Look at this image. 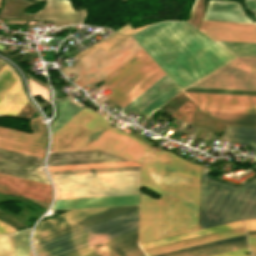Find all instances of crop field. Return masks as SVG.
Instances as JSON below:
<instances>
[{
  "label": "crop field",
  "mask_w": 256,
  "mask_h": 256,
  "mask_svg": "<svg viewBox=\"0 0 256 256\" xmlns=\"http://www.w3.org/2000/svg\"><path fill=\"white\" fill-rule=\"evenodd\" d=\"M134 37L180 88L234 59L185 21L159 22Z\"/></svg>",
  "instance_id": "crop-field-1"
},
{
  "label": "crop field",
  "mask_w": 256,
  "mask_h": 256,
  "mask_svg": "<svg viewBox=\"0 0 256 256\" xmlns=\"http://www.w3.org/2000/svg\"><path fill=\"white\" fill-rule=\"evenodd\" d=\"M90 131L93 135L99 132L93 136ZM90 149L144 164L141 186L158 194V183L152 181L151 176H159L160 150L113 128L101 115L84 108L52 135L50 152ZM152 179L159 182V177Z\"/></svg>",
  "instance_id": "crop-field-2"
},
{
  "label": "crop field",
  "mask_w": 256,
  "mask_h": 256,
  "mask_svg": "<svg viewBox=\"0 0 256 256\" xmlns=\"http://www.w3.org/2000/svg\"><path fill=\"white\" fill-rule=\"evenodd\" d=\"M200 166L161 150L158 239L198 229Z\"/></svg>",
  "instance_id": "crop-field-3"
},
{
  "label": "crop field",
  "mask_w": 256,
  "mask_h": 256,
  "mask_svg": "<svg viewBox=\"0 0 256 256\" xmlns=\"http://www.w3.org/2000/svg\"><path fill=\"white\" fill-rule=\"evenodd\" d=\"M201 167L199 229L256 218V177L238 188L207 178Z\"/></svg>",
  "instance_id": "crop-field-4"
},
{
  "label": "crop field",
  "mask_w": 256,
  "mask_h": 256,
  "mask_svg": "<svg viewBox=\"0 0 256 256\" xmlns=\"http://www.w3.org/2000/svg\"><path fill=\"white\" fill-rule=\"evenodd\" d=\"M55 199L139 194V170L51 176Z\"/></svg>",
  "instance_id": "crop-field-5"
},
{
  "label": "crop field",
  "mask_w": 256,
  "mask_h": 256,
  "mask_svg": "<svg viewBox=\"0 0 256 256\" xmlns=\"http://www.w3.org/2000/svg\"><path fill=\"white\" fill-rule=\"evenodd\" d=\"M127 38L113 33L75 57L80 59L98 47L109 52ZM141 49L130 37L109 53L98 48L61 71L67 76L75 70L79 76L73 82L82 88L87 83L103 79Z\"/></svg>",
  "instance_id": "crop-field-6"
},
{
  "label": "crop field",
  "mask_w": 256,
  "mask_h": 256,
  "mask_svg": "<svg viewBox=\"0 0 256 256\" xmlns=\"http://www.w3.org/2000/svg\"><path fill=\"white\" fill-rule=\"evenodd\" d=\"M138 208L36 244L39 256H60L137 228Z\"/></svg>",
  "instance_id": "crop-field-7"
},
{
  "label": "crop field",
  "mask_w": 256,
  "mask_h": 256,
  "mask_svg": "<svg viewBox=\"0 0 256 256\" xmlns=\"http://www.w3.org/2000/svg\"><path fill=\"white\" fill-rule=\"evenodd\" d=\"M150 58L142 49L104 78L107 82L102 86L113 91L108 99L123 107L164 76Z\"/></svg>",
  "instance_id": "crop-field-8"
},
{
  "label": "crop field",
  "mask_w": 256,
  "mask_h": 256,
  "mask_svg": "<svg viewBox=\"0 0 256 256\" xmlns=\"http://www.w3.org/2000/svg\"><path fill=\"white\" fill-rule=\"evenodd\" d=\"M190 86L256 90V59L236 58Z\"/></svg>",
  "instance_id": "crop-field-9"
},
{
  "label": "crop field",
  "mask_w": 256,
  "mask_h": 256,
  "mask_svg": "<svg viewBox=\"0 0 256 256\" xmlns=\"http://www.w3.org/2000/svg\"><path fill=\"white\" fill-rule=\"evenodd\" d=\"M33 134L0 127V148L43 158L47 139L46 125L41 118L30 120Z\"/></svg>",
  "instance_id": "crop-field-10"
},
{
  "label": "crop field",
  "mask_w": 256,
  "mask_h": 256,
  "mask_svg": "<svg viewBox=\"0 0 256 256\" xmlns=\"http://www.w3.org/2000/svg\"><path fill=\"white\" fill-rule=\"evenodd\" d=\"M186 95L202 111L256 114V96L195 93H186Z\"/></svg>",
  "instance_id": "crop-field-11"
},
{
  "label": "crop field",
  "mask_w": 256,
  "mask_h": 256,
  "mask_svg": "<svg viewBox=\"0 0 256 256\" xmlns=\"http://www.w3.org/2000/svg\"><path fill=\"white\" fill-rule=\"evenodd\" d=\"M137 250L136 229L63 256H123Z\"/></svg>",
  "instance_id": "crop-field-12"
},
{
  "label": "crop field",
  "mask_w": 256,
  "mask_h": 256,
  "mask_svg": "<svg viewBox=\"0 0 256 256\" xmlns=\"http://www.w3.org/2000/svg\"><path fill=\"white\" fill-rule=\"evenodd\" d=\"M199 30L214 40L256 42V25L203 21Z\"/></svg>",
  "instance_id": "crop-field-13"
},
{
  "label": "crop field",
  "mask_w": 256,
  "mask_h": 256,
  "mask_svg": "<svg viewBox=\"0 0 256 256\" xmlns=\"http://www.w3.org/2000/svg\"><path fill=\"white\" fill-rule=\"evenodd\" d=\"M9 68L7 64L4 63V65L0 68V74L3 72L5 68ZM7 69L4 70V72L0 75L1 76L5 73ZM13 77L11 76V74ZM6 75L0 80V114H18L20 110L25 106V104L28 102L27 99L25 98L23 91L20 86V82L16 74L12 71L10 68ZM0 116H15L16 115H0Z\"/></svg>",
  "instance_id": "crop-field-14"
},
{
  "label": "crop field",
  "mask_w": 256,
  "mask_h": 256,
  "mask_svg": "<svg viewBox=\"0 0 256 256\" xmlns=\"http://www.w3.org/2000/svg\"><path fill=\"white\" fill-rule=\"evenodd\" d=\"M0 191L37 199L44 202L51 200V185H46L0 173Z\"/></svg>",
  "instance_id": "crop-field-15"
},
{
  "label": "crop field",
  "mask_w": 256,
  "mask_h": 256,
  "mask_svg": "<svg viewBox=\"0 0 256 256\" xmlns=\"http://www.w3.org/2000/svg\"><path fill=\"white\" fill-rule=\"evenodd\" d=\"M139 195L55 200L52 210L137 205Z\"/></svg>",
  "instance_id": "crop-field-16"
},
{
  "label": "crop field",
  "mask_w": 256,
  "mask_h": 256,
  "mask_svg": "<svg viewBox=\"0 0 256 256\" xmlns=\"http://www.w3.org/2000/svg\"><path fill=\"white\" fill-rule=\"evenodd\" d=\"M125 159L100 151L49 153L48 166L123 162Z\"/></svg>",
  "instance_id": "crop-field-17"
},
{
  "label": "crop field",
  "mask_w": 256,
  "mask_h": 256,
  "mask_svg": "<svg viewBox=\"0 0 256 256\" xmlns=\"http://www.w3.org/2000/svg\"><path fill=\"white\" fill-rule=\"evenodd\" d=\"M158 200L141 192L139 243L157 239Z\"/></svg>",
  "instance_id": "crop-field-18"
},
{
  "label": "crop field",
  "mask_w": 256,
  "mask_h": 256,
  "mask_svg": "<svg viewBox=\"0 0 256 256\" xmlns=\"http://www.w3.org/2000/svg\"><path fill=\"white\" fill-rule=\"evenodd\" d=\"M84 11L74 12L67 0H47V5L36 13L34 19L67 20L72 19V24H83Z\"/></svg>",
  "instance_id": "crop-field-19"
},
{
  "label": "crop field",
  "mask_w": 256,
  "mask_h": 256,
  "mask_svg": "<svg viewBox=\"0 0 256 256\" xmlns=\"http://www.w3.org/2000/svg\"><path fill=\"white\" fill-rule=\"evenodd\" d=\"M113 208L104 209H83V210H71L66 213L60 214L58 216L52 217L50 219L40 222L37 228L34 230L33 236H38L40 234L52 231L54 229L66 226L68 224L77 222L79 220L88 218L90 216L102 213L104 211Z\"/></svg>",
  "instance_id": "crop-field-20"
},
{
  "label": "crop field",
  "mask_w": 256,
  "mask_h": 256,
  "mask_svg": "<svg viewBox=\"0 0 256 256\" xmlns=\"http://www.w3.org/2000/svg\"><path fill=\"white\" fill-rule=\"evenodd\" d=\"M203 20L251 23L239 3L209 1Z\"/></svg>",
  "instance_id": "crop-field-21"
},
{
  "label": "crop field",
  "mask_w": 256,
  "mask_h": 256,
  "mask_svg": "<svg viewBox=\"0 0 256 256\" xmlns=\"http://www.w3.org/2000/svg\"><path fill=\"white\" fill-rule=\"evenodd\" d=\"M137 207H138V206L118 207V208H115V209H113V210L104 212V213H102V214H99V215L90 217V218H88V219L79 221V222H77V223L68 225V226H66V227H63V228L54 230V231H52V232H49V233L40 235V236L34 238L35 244H36V243H39V242H42V241H44V240H47V239L56 237V236H58V235H61V234L70 232V231H72V230H75V229L84 227V226H86V225H89V224H92V223L101 221V220H103V219H106V218L115 216V215H117V214H120V213L129 211V210L134 209V208H137Z\"/></svg>",
  "instance_id": "crop-field-22"
},
{
  "label": "crop field",
  "mask_w": 256,
  "mask_h": 256,
  "mask_svg": "<svg viewBox=\"0 0 256 256\" xmlns=\"http://www.w3.org/2000/svg\"><path fill=\"white\" fill-rule=\"evenodd\" d=\"M39 168L40 167L0 158L1 173L47 183L45 175L39 170Z\"/></svg>",
  "instance_id": "crop-field-23"
},
{
  "label": "crop field",
  "mask_w": 256,
  "mask_h": 256,
  "mask_svg": "<svg viewBox=\"0 0 256 256\" xmlns=\"http://www.w3.org/2000/svg\"><path fill=\"white\" fill-rule=\"evenodd\" d=\"M173 84L174 83L171 81V79L165 75L119 112L122 113L128 109L136 114L139 110L145 107L148 103H150L153 99H155Z\"/></svg>",
  "instance_id": "crop-field-24"
},
{
  "label": "crop field",
  "mask_w": 256,
  "mask_h": 256,
  "mask_svg": "<svg viewBox=\"0 0 256 256\" xmlns=\"http://www.w3.org/2000/svg\"><path fill=\"white\" fill-rule=\"evenodd\" d=\"M220 141L248 144L256 155V129L226 127Z\"/></svg>",
  "instance_id": "crop-field-25"
},
{
  "label": "crop field",
  "mask_w": 256,
  "mask_h": 256,
  "mask_svg": "<svg viewBox=\"0 0 256 256\" xmlns=\"http://www.w3.org/2000/svg\"><path fill=\"white\" fill-rule=\"evenodd\" d=\"M243 226L241 221L140 244L142 249Z\"/></svg>",
  "instance_id": "crop-field-26"
},
{
  "label": "crop field",
  "mask_w": 256,
  "mask_h": 256,
  "mask_svg": "<svg viewBox=\"0 0 256 256\" xmlns=\"http://www.w3.org/2000/svg\"><path fill=\"white\" fill-rule=\"evenodd\" d=\"M69 98L56 102L58 106L59 116L53 121L51 126L52 134L62 127L67 121H69L74 115H76L84 107L78 103H71Z\"/></svg>",
  "instance_id": "crop-field-27"
},
{
  "label": "crop field",
  "mask_w": 256,
  "mask_h": 256,
  "mask_svg": "<svg viewBox=\"0 0 256 256\" xmlns=\"http://www.w3.org/2000/svg\"><path fill=\"white\" fill-rule=\"evenodd\" d=\"M225 125L256 127V115L205 112Z\"/></svg>",
  "instance_id": "crop-field-28"
},
{
  "label": "crop field",
  "mask_w": 256,
  "mask_h": 256,
  "mask_svg": "<svg viewBox=\"0 0 256 256\" xmlns=\"http://www.w3.org/2000/svg\"><path fill=\"white\" fill-rule=\"evenodd\" d=\"M248 247L246 239L175 256H211Z\"/></svg>",
  "instance_id": "crop-field-29"
},
{
  "label": "crop field",
  "mask_w": 256,
  "mask_h": 256,
  "mask_svg": "<svg viewBox=\"0 0 256 256\" xmlns=\"http://www.w3.org/2000/svg\"><path fill=\"white\" fill-rule=\"evenodd\" d=\"M231 53L237 56L256 57V43L217 41Z\"/></svg>",
  "instance_id": "crop-field-30"
},
{
  "label": "crop field",
  "mask_w": 256,
  "mask_h": 256,
  "mask_svg": "<svg viewBox=\"0 0 256 256\" xmlns=\"http://www.w3.org/2000/svg\"><path fill=\"white\" fill-rule=\"evenodd\" d=\"M179 91L180 90L174 84L168 90H166L163 94H161L158 98H156L149 105H147L144 109H142L139 113H141V114H143L145 116L149 115L151 112H153L159 106H161L162 104L167 102L170 98H172Z\"/></svg>",
  "instance_id": "crop-field-31"
},
{
  "label": "crop field",
  "mask_w": 256,
  "mask_h": 256,
  "mask_svg": "<svg viewBox=\"0 0 256 256\" xmlns=\"http://www.w3.org/2000/svg\"><path fill=\"white\" fill-rule=\"evenodd\" d=\"M29 232L30 229L14 233L15 256H29Z\"/></svg>",
  "instance_id": "crop-field-32"
},
{
  "label": "crop field",
  "mask_w": 256,
  "mask_h": 256,
  "mask_svg": "<svg viewBox=\"0 0 256 256\" xmlns=\"http://www.w3.org/2000/svg\"><path fill=\"white\" fill-rule=\"evenodd\" d=\"M243 234H245L244 230L226 234V235L213 237V238H209V239H204V240H200V241H196V242H192V243H188V244H183V245H179V246H175V247H171V248H166V249H162V250H158V251H154V252H150V253H146V255L150 256V255H154V254H159V253L168 252V251H172V250H176V249H181V248H185V247H190V246H194V245L217 241V240L230 238V237H234V236H239V235H243Z\"/></svg>",
  "instance_id": "crop-field-33"
},
{
  "label": "crop field",
  "mask_w": 256,
  "mask_h": 256,
  "mask_svg": "<svg viewBox=\"0 0 256 256\" xmlns=\"http://www.w3.org/2000/svg\"><path fill=\"white\" fill-rule=\"evenodd\" d=\"M0 157L43 167V159L41 158L20 154L8 150L0 149Z\"/></svg>",
  "instance_id": "crop-field-34"
},
{
  "label": "crop field",
  "mask_w": 256,
  "mask_h": 256,
  "mask_svg": "<svg viewBox=\"0 0 256 256\" xmlns=\"http://www.w3.org/2000/svg\"><path fill=\"white\" fill-rule=\"evenodd\" d=\"M139 165L133 162L48 167L49 171Z\"/></svg>",
  "instance_id": "crop-field-35"
},
{
  "label": "crop field",
  "mask_w": 256,
  "mask_h": 256,
  "mask_svg": "<svg viewBox=\"0 0 256 256\" xmlns=\"http://www.w3.org/2000/svg\"><path fill=\"white\" fill-rule=\"evenodd\" d=\"M184 92L236 94V95H256V91L225 90V89H210V88H195V87H187V88L184 89Z\"/></svg>",
  "instance_id": "crop-field-36"
},
{
  "label": "crop field",
  "mask_w": 256,
  "mask_h": 256,
  "mask_svg": "<svg viewBox=\"0 0 256 256\" xmlns=\"http://www.w3.org/2000/svg\"><path fill=\"white\" fill-rule=\"evenodd\" d=\"M205 0H196L194 7L192 9L191 17L187 22L199 28L203 15L205 13L204 10Z\"/></svg>",
  "instance_id": "crop-field-37"
},
{
  "label": "crop field",
  "mask_w": 256,
  "mask_h": 256,
  "mask_svg": "<svg viewBox=\"0 0 256 256\" xmlns=\"http://www.w3.org/2000/svg\"><path fill=\"white\" fill-rule=\"evenodd\" d=\"M0 256H14L13 233L0 235Z\"/></svg>",
  "instance_id": "crop-field-38"
},
{
  "label": "crop field",
  "mask_w": 256,
  "mask_h": 256,
  "mask_svg": "<svg viewBox=\"0 0 256 256\" xmlns=\"http://www.w3.org/2000/svg\"><path fill=\"white\" fill-rule=\"evenodd\" d=\"M244 238H246L245 235L230 238V239H225V240H221V241H217V242H212V243H208V244H203V245H199V246H194V247H190V248H185V249H181V250H176V251H172V252H168V253H163V254H159V255H154V256H170V255L188 252V251L201 249V248H205V247H209V246H214V245H218V244H222V243L236 241V240H240V239H244Z\"/></svg>",
  "instance_id": "crop-field-39"
},
{
  "label": "crop field",
  "mask_w": 256,
  "mask_h": 256,
  "mask_svg": "<svg viewBox=\"0 0 256 256\" xmlns=\"http://www.w3.org/2000/svg\"><path fill=\"white\" fill-rule=\"evenodd\" d=\"M139 167H140V166L118 167V168H102V169H87V170H72V171H56V172H49V174H50V175H57V174H72V173H87V172L132 170V169H139Z\"/></svg>",
  "instance_id": "crop-field-40"
},
{
  "label": "crop field",
  "mask_w": 256,
  "mask_h": 256,
  "mask_svg": "<svg viewBox=\"0 0 256 256\" xmlns=\"http://www.w3.org/2000/svg\"><path fill=\"white\" fill-rule=\"evenodd\" d=\"M242 229H244V228L241 227V228H237V229H233V230H228V231L219 232V233L206 235V236H202V237H197V238H193V239H189V240L175 242V243H171V244H167V245L153 247V248L145 249L144 252L155 250V249H160V248H164V247H168V246H173V245H177V244H181V243H186V242H190V241H195V240H199V239H203V238H208V237H212V236H216V235H221V234H225V233H229V232H234V231H238V230H242Z\"/></svg>",
  "instance_id": "crop-field-41"
},
{
  "label": "crop field",
  "mask_w": 256,
  "mask_h": 256,
  "mask_svg": "<svg viewBox=\"0 0 256 256\" xmlns=\"http://www.w3.org/2000/svg\"><path fill=\"white\" fill-rule=\"evenodd\" d=\"M29 85L32 91V95H40L43 99H45L48 103H50L49 99V90L45 89L44 87L38 85L37 83L33 82L32 80L28 79Z\"/></svg>",
  "instance_id": "crop-field-42"
},
{
  "label": "crop field",
  "mask_w": 256,
  "mask_h": 256,
  "mask_svg": "<svg viewBox=\"0 0 256 256\" xmlns=\"http://www.w3.org/2000/svg\"><path fill=\"white\" fill-rule=\"evenodd\" d=\"M148 25H150V24H148ZM148 25H144L140 28H135V29H131L128 25H125L122 28H120L119 30H117L116 32L121 33V34H126V35H133V34L139 32L140 30L144 29Z\"/></svg>",
  "instance_id": "crop-field-43"
},
{
  "label": "crop field",
  "mask_w": 256,
  "mask_h": 256,
  "mask_svg": "<svg viewBox=\"0 0 256 256\" xmlns=\"http://www.w3.org/2000/svg\"><path fill=\"white\" fill-rule=\"evenodd\" d=\"M246 252H249L248 248L238 250V251L229 252V253H224V254H220V255H216V256H244V253H246ZM247 256H250V255H247Z\"/></svg>",
  "instance_id": "crop-field-44"
},
{
  "label": "crop field",
  "mask_w": 256,
  "mask_h": 256,
  "mask_svg": "<svg viewBox=\"0 0 256 256\" xmlns=\"http://www.w3.org/2000/svg\"><path fill=\"white\" fill-rule=\"evenodd\" d=\"M244 5L256 16V0H244Z\"/></svg>",
  "instance_id": "crop-field-45"
},
{
  "label": "crop field",
  "mask_w": 256,
  "mask_h": 256,
  "mask_svg": "<svg viewBox=\"0 0 256 256\" xmlns=\"http://www.w3.org/2000/svg\"><path fill=\"white\" fill-rule=\"evenodd\" d=\"M246 230L256 229V219L244 220Z\"/></svg>",
  "instance_id": "crop-field-46"
},
{
  "label": "crop field",
  "mask_w": 256,
  "mask_h": 256,
  "mask_svg": "<svg viewBox=\"0 0 256 256\" xmlns=\"http://www.w3.org/2000/svg\"><path fill=\"white\" fill-rule=\"evenodd\" d=\"M10 231H16V229L0 222V232H10Z\"/></svg>",
  "instance_id": "crop-field-47"
},
{
  "label": "crop field",
  "mask_w": 256,
  "mask_h": 256,
  "mask_svg": "<svg viewBox=\"0 0 256 256\" xmlns=\"http://www.w3.org/2000/svg\"><path fill=\"white\" fill-rule=\"evenodd\" d=\"M249 243H256V234L255 235H247Z\"/></svg>",
  "instance_id": "crop-field-48"
},
{
  "label": "crop field",
  "mask_w": 256,
  "mask_h": 256,
  "mask_svg": "<svg viewBox=\"0 0 256 256\" xmlns=\"http://www.w3.org/2000/svg\"><path fill=\"white\" fill-rule=\"evenodd\" d=\"M140 255H143V252H142V250H140V251H137V252H134V253H132V254H129V255H126V256H140Z\"/></svg>",
  "instance_id": "crop-field-49"
},
{
  "label": "crop field",
  "mask_w": 256,
  "mask_h": 256,
  "mask_svg": "<svg viewBox=\"0 0 256 256\" xmlns=\"http://www.w3.org/2000/svg\"><path fill=\"white\" fill-rule=\"evenodd\" d=\"M250 245V249L253 251V252H256V244H249Z\"/></svg>",
  "instance_id": "crop-field-50"
},
{
  "label": "crop field",
  "mask_w": 256,
  "mask_h": 256,
  "mask_svg": "<svg viewBox=\"0 0 256 256\" xmlns=\"http://www.w3.org/2000/svg\"><path fill=\"white\" fill-rule=\"evenodd\" d=\"M246 233L247 234H254V233H256V230H254V231H246Z\"/></svg>",
  "instance_id": "crop-field-51"
},
{
  "label": "crop field",
  "mask_w": 256,
  "mask_h": 256,
  "mask_svg": "<svg viewBox=\"0 0 256 256\" xmlns=\"http://www.w3.org/2000/svg\"><path fill=\"white\" fill-rule=\"evenodd\" d=\"M251 169H255L256 170V164L254 166H252Z\"/></svg>",
  "instance_id": "crop-field-52"
},
{
  "label": "crop field",
  "mask_w": 256,
  "mask_h": 256,
  "mask_svg": "<svg viewBox=\"0 0 256 256\" xmlns=\"http://www.w3.org/2000/svg\"><path fill=\"white\" fill-rule=\"evenodd\" d=\"M0 49L2 50V49H3V46H0Z\"/></svg>",
  "instance_id": "crop-field-53"
},
{
  "label": "crop field",
  "mask_w": 256,
  "mask_h": 256,
  "mask_svg": "<svg viewBox=\"0 0 256 256\" xmlns=\"http://www.w3.org/2000/svg\"><path fill=\"white\" fill-rule=\"evenodd\" d=\"M3 64V62L0 61V66Z\"/></svg>",
  "instance_id": "crop-field-54"
},
{
  "label": "crop field",
  "mask_w": 256,
  "mask_h": 256,
  "mask_svg": "<svg viewBox=\"0 0 256 256\" xmlns=\"http://www.w3.org/2000/svg\"><path fill=\"white\" fill-rule=\"evenodd\" d=\"M30 256H32L31 251H30Z\"/></svg>",
  "instance_id": "crop-field-55"
},
{
  "label": "crop field",
  "mask_w": 256,
  "mask_h": 256,
  "mask_svg": "<svg viewBox=\"0 0 256 256\" xmlns=\"http://www.w3.org/2000/svg\"><path fill=\"white\" fill-rule=\"evenodd\" d=\"M254 256H256V253H254Z\"/></svg>",
  "instance_id": "crop-field-56"
},
{
  "label": "crop field",
  "mask_w": 256,
  "mask_h": 256,
  "mask_svg": "<svg viewBox=\"0 0 256 256\" xmlns=\"http://www.w3.org/2000/svg\"><path fill=\"white\" fill-rule=\"evenodd\" d=\"M123 2L126 1V0H122Z\"/></svg>",
  "instance_id": "crop-field-57"
},
{
  "label": "crop field",
  "mask_w": 256,
  "mask_h": 256,
  "mask_svg": "<svg viewBox=\"0 0 256 256\" xmlns=\"http://www.w3.org/2000/svg\"><path fill=\"white\" fill-rule=\"evenodd\" d=\"M143 256H145V255H143Z\"/></svg>",
  "instance_id": "crop-field-58"
}]
</instances>
